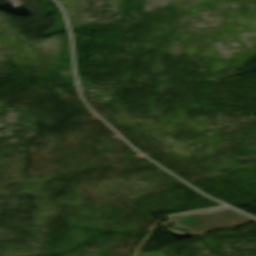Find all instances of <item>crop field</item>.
Returning a JSON list of instances; mask_svg holds the SVG:
<instances>
[{
    "label": "crop field",
    "mask_w": 256,
    "mask_h": 256,
    "mask_svg": "<svg viewBox=\"0 0 256 256\" xmlns=\"http://www.w3.org/2000/svg\"><path fill=\"white\" fill-rule=\"evenodd\" d=\"M177 219L172 224L188 230L194 235H202L203 233L213 229H225L256 220L243 216L242 213L232 210L231 208H221L186 215L173 216Z\"/></svg>",
    "instance_id": "crop-field-1"
}]
</instances>
